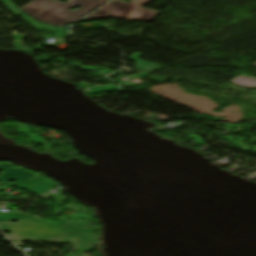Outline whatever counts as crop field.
<instances>
[{
	"instance_id": "crop-field-1",
	"label": "crop field",
	"mask_w": 256,
	"mask_h": 256,
	"mask_svg": "<svg viewBox=\"0 0 256 256\" xmlns=\"http://www.w3.org/2000/svg\"><path fill=\"white\" fill-rule=\"evenodd\" d=\"M59 224L51 223L45 219L28 220L21 222L0 223V230L12 231L7 235L15 240L17 245H22L20 240L44 241L48 243H73L79 242V250L96 246L95 227L90 220L71 222L63 218ZM90 226L89 229L84 227ZM68 237V239H64Z\"/></svg>"
},
{
	"instance_id": "crop-field-2",
	"label": "crop field",
	"mask_w": 256,
	"mask_h": 256,
	"mask_svg": "<svg viewBox=\"0 0 256 256\" xmlns=\"http://www.w3.org/2000/svg\"><path fill=\"white\" fill-rule=\"evenodd\" d=\"M107 1L109 0H68L64 4L58 0H35L20 10L40 22L63 27L75 23ZM76 6L81 8L77 11L69 10Z\"/></svg>"
},
{
	"instance_id": "crop-field-3",
	"label": "crop field",
	"mask_w": 256,
	"mask_h": 256,
	"mask_svg": "<svg viewBox=\"0 0 256 256\" xmlns=\"http://www.w3.org/2000/svg\"><path fill=\"white\" fill-rule=\"evenodd\" d=\"M151 0H133L129 3L114 0L97 10L85 19L90 18H115L126 20L151 21L160 12L141 7Z\"/></svg>"
},
{
	"instance_id": "crop-field-4",
	"label": "crop field",
	"mask_w": 256,
	"mask_h": 256,
	"mask_svg": "<svg viewBox=\"0 0 256 256\" xmlns=\"http://www.w3.org/2000/svg\"><path fill=\"white\" fill-rule=\"evenodd\" d=\"M0 169L4 170V174L0 176V181L1 180H4V181L1 182L0 184H5L6 186L14 185L22 190H25V189H28L32 186H35L39 183L46 181V179L38 177V178H35L32 180L17 184L19 182L30 179L37 175H35L31 172H28L26 170H23L21 168L11 169V168H9V164H0ZM11 180H17V182H15L11 185L6 183V181H11ZM15 184H17V185H15Z\"/></svg>"
},
{
	"instance_id": "crop-field-5",
	"label": "crop field",
	"mask_w": 256,
	"mask_h": 256,
	"mask_svg": "<svg viewBox=\"0 0 256 256\" xmlns=\"http://www.w3.org/2000/svg\"><path fill=\"white\" fill-rule=\"evenodd\" d=\"M11 12H13L14 14H22V17H24V21H26L28 24L38 28V29H47V30H53V31H57L55 36L58 37H64L65 34L63 33V29L61 28H56V27H49V26H45L42 25L40 23L34 22L31 19H29L28 17H26L22 12H20L9 0H0Z\"/></svg>"
},
{
	"instance_id": "crop-field-6",
	"label": "crop field",
	"mask_w": 256,
	"mask_h": 256,
	"mask_svg": "<svg viewBox=\"0 0 256 256\" xmlns=\"http://www.w3.org/2000/svg\"><path fill=\"white\" fill-rule=\"evenodd\" d=\"M141 55H142L141 53H133L130 58L131 61H135V65L137 69L154 72L165 66V65H159V64L140 61L139 58L141 57Z\"/></svg>"
},
{
	"instance_id": "crop-field-7",
	"label": "crop field",
	"mask_w": 256,
	"mask_h": 256,
	"mask_svg": "<svg viewBox=\"0 0 256 256\" xmlns=\"http://www.w3.org/2000/svg\"><path fill=\"white\" fill-rule=\"evenodd\" d=\"M256 67V64L252 65ZM232 83L239 85V86H244V87H251V86H256V79L246 77V76H240L234 80L231 81Z\"/></svg>"
},
{
	"instance_id": "crop-field-8",
	"label": "crop field",
	"mask_w": 256,
	"mask_h": 256,
	"mask_svg": "<svg viewBox=\"0 0 256 256\" xmlns=\"http://www.w3.org/2000/svg\"><path fill=\"white\" fill-rule=\"evenodd\" d=\"M29 218H33V217L27 216L25 214H18V213H2V214H0V222L10 221V220H19V219H29Z\"/></svg>"
},
{
	"instance_id": "crop-field-9",
	"label": "crop field",
	"mask_w": 256,
	"mask_h": 256,
	"mask_svg": "<svg viewBox=\"0 0 256 256\" xmlns=\"http://www.w3.org/2000/svg\"><path fill=\"white\" fill-rule=\"evenodd\" d=\"M55 184L47 181V182H44L40 185H37L35 187H32L30 189H28L29 191H32V192H35V193H38V194H41V193H44L46 191H48L50 189V187L54 186Z\"/></svg>"
},
{
	"instance_id": "crop-field-10",
	"label": "crop field",
	"mask_w": 256,
	"mask_h": 256,
	"mask_svg": "<svg viewBox=\"0 0 256 256\" xmlns=\"http://www.w3.org/2000/svg\"><path fill=\"white\" fill-rule=\"evenodd\" d=\"M20 37H21V36L17 35L16 32H14V40H15V43H14V45H13V48L25 50L26 52L32 51V50H30V49L22 48V45L19 44Z\"/></svg>"
},
{
	"instance_id": "crop-field-11",
	"label": "crop field",
	"mask_w": 256,
	"mask_h": 256,
	"mask_svg": "<svg viewBox=\"0 0 256 256\" xmlns=\"http://www.w3.org/2000/svg\"><path fill=\"white\" fill-rule=\"evenodd\" d=\"M92 249H94V248H92ZM92 249H88V250H92ZM84 251H87V250H84ZM84 251L75 252V253H72V254H69V255H66V256H74L75 254H78L77 256H82Z\"/></svg>"
}]
</instances>
